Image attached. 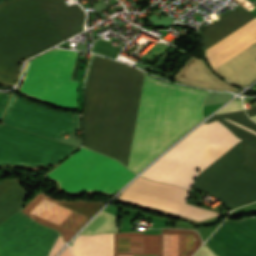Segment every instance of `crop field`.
<instances>
[{
  "mask_svg": "<svg viewBox=\"0 0 256 256\" xmlns=\"http://www.w3.org/2000/svg\"><path fill=\"white\" fill-rule=\"evenodd\" d=\"M187 190L156 183L139 177L119 196L140 205L165 209L199 221L218 215L211 211L185 203Z\"/></svg>",
  "mask_w": 256,
  "mask_h": 256,
  "instance_id": "obj_11",
  "label": "crop field"
},
{
  "mask_svg": "<svg viewBox=\"0 0 256 256\" xmlns=\"http://www.w3.org/2000/svg\"><path fill=\"white\" fill-rule=\"evenodd\" d=\"M0 122L59 139L76 127V115L56 112L13 95Z\"/></svg>",
  "mask_w": 256,
  "mask_h": 256,
  "instance_id": "obj_10",
  "label": "crop field"
},
{
  "mask_svg": "<svg viewBox=\"0 0 256 256\" xmlns=\"http://www.w3.org/2000/svg\"><path fill=\"white\" fill-rule=\"evenodd\" d=\"M57 244H60V245L63 246V240H62V238H61L60 235L58 236L57 240L55 241V243H54V245H53V247H52V249H51V251H50V255H49V256H54V254L62 247V246L60 247V246L57 245ZM56 245H57L58 247H60L57 251L53 249Z\"/></svg>",
  "mask_w": 256,
  "mask_h": 256,
  "instance_id": "obj_18",
  "label": "crop field"
},
{
  "mask_svg": "<svg viewBox=\"0 0 256 256\" xmlns=\"http://www.w3.org/2000/svg\"><path fill=\"white\" fill-rule=\"evenodd\" d=\"M45 176L59 182L63 191L112 195L135 175L117 161L81 148Z\"/></svg>",
  "mask_w": 256,
  "mask_h": 256,
  "instance_id": "obj_6",
  "label": "crop field"
},
{
  "mask_svg": "<svg viewBox=\"0 0 256 256\" xmlns=\"http://www.w3.org/2000/svg\"><path fill=\"white\" fill-rule=\"evenodd\" d=\"M76 53L56 49L30 61L19 92L56 106L76 109L77 81L70 80Z\"/></svg>",
  "mask_w": 256,
  "mask_h": 256,
  "instance_id": "obj_7",
  "label": "crop field"
},
{
  "mask_svg": "<svg viewBox=\"0 0 256 256\" xmlns=\"http://www.w3.org/2000/svg\"><path fill=\"white\" fill-rule=\"evenodd\" d=\"M43 199L50 201L52 203H55L64 208H67L69 210H72L74 212H77V213L84 215L88 218L91 215H93L96 212V210L100 206H102V204L104 203V202H83V201H57L54 199H50L44 192L37 193L33 197V199L22 209V212H24L29 217L35 219L37 222H39L45 226L59 230L62 233V237L65 241H68L79 230V228L87 221L88 218L86 219V217H84V216H81L72 211H69L62 207L54 205V204L47 202ZM30 212L33 215H36L38 217H41L43 219H46V220L56 223L58 225H60L65 218L72 220L74 222H77L79 224H81L85 219L86 220L82 223V225L75 232H73V231L63 228L61 226H58L56 224H53L51 222H48L46 220H43L36 216H33V215L29 214Z\"/></svg>",
  "mask_w": 256,
  "mask_h": 256,
  "instance_id": "obj_12",
  "label": "crop field"
},
{
  "mask_svg": "<svg viewBox=\"0 0 256 256\" xmlns=\"http://www.w3.org/2000/svg\"><path fill=\"white\" fill-rule=\"evenodd\" d=\"M78 149L0 124V166L53 165Z\"/></svg>",
  "mask_w": 256,
  "mask_h": 256,
  "instance_id": "obj_9",
  "label": "crop field"
},
{
  "mask_svg": "<svg viewBox=\"0 0 256 256\" xmlns=\"http://www.w3.org/2000/svg\"><path fill=\"white\" fill-rule=\"evenodd\" d=\"M205 244L218 256H256V219L225 220Z\"/></svg>",
  "mask_w": 256,
  "mask_h": 256,
  "instance_id": "obj_13",
  "label": "crop field"
},
{
  "mask_svg": "<svg viewBox=\"0 0 256 256\" xmlns=\"http://www.w3.org/2000/svg\"><path fill=\"white\" fill-rule=\"evenodd\" d=\"M248 114L249 117L253 116L256 114V105L251 108L249 111L246 112Z\"/></svg>",
  "mask_w": 256,
  "mask_h": 256,
  "instance_id": "obj_20",
  "label": "crop field"
},
{
  "mask_svg": "<svg viewBox=\"0 0 256 256\" xmlns=\"http://www.w3.org/2000/svg\"><path fill=\"white\" fill-rule=\"evenodd\" d=\"M251 89H252V90H256V85H254Z\"/></svg>",
  "mask_w": 256,
  "mask_h": 256,
  "instance_id": "obj_24",
  "label": "crop field"
},
{
  "mask_svg": "<svg viewBox=\"0 0 256 256\" xmlns=\"http://www.w3.org/2000/svg\"><path fill=\"white\" fill-rule=\"evenodd\" d=\"M108 217L106 219V217ZM91 223L93 224L89 230L94 231L105 219V221L94 231H89L84 229L80 234H101V233H109V232H116L117 228V217H114L112 215L106 214L104 212L100 213Z\"/></svg>",
  "mask_w": 256,
  "mask_h": 256,
  "instance_id": "obj_15",
  "label": "crop field"
},
{
  "mask_svg": "<svg viewBox=\"0 0 256 256\" xmlns=\"http://www.w3.org/2000/svg\"><path fill=\"white\" fill-rule=\"evenodd\" d=\"M225 120H227V121H229V122H231V123H234V122H232V121H230V120H228V119H225ZM234 124H236V123H234ZM236 125H238V124H236ZM238 126H240V127L244 128V129H246V130H248V131H250V132H252V133L256 134V132L251 131V130H249V129H247V128H245V127L241 126V125H238Z\"/></svg>",
  "mask_w": 256,
  "mask_h": 256,
  "instance_id": "obj_22",
  "label": "crop field"
},
{
  "mask_svg": "<svg viewBox=\"0 0 256 256\" xmlns=\"http://www.w3.org/2000/svg\"><path fill=\"white\" fill-rule=\"evenodd\" d=\"M236 139L218 121L202 124L141 176L189 188ZM241 160L237 139L192 187L217 196L230 210L255 202L256 172Z\"/></svg>",
  "mask_w": 256,
  "mask_h": 256,
  "instance_id": "obj_2",
  "label": "crop field"
},
{
  "mask_svg": "<svg viewBox=\"0 0 256 256\" xmlns=\"http://www.w3.org/2000/svg\"><path fill=\"white\" fill-rule=\"evenodd\" d=\"M174 79L191 86L214 90L238 91L213 76L201 60L194 59L193 57L180 69Z\"/></svg>",
  "mask_w": 256,
  "mask_h": 256,
  "instance_id": "obj_14",
  "label": "crop field"
},
{
  "mask_svg": "<svg viewBox=\"0 0 256 256\" xmlns=\"http://www.w3.org/2000/svg\"><path fill=\"white\" fill-rule=\"evenodd\" d=\"M242 109V101H232L227 106H225L222 110H220L216 114L220 113H228V112H235V111H241Z\"/></svg>",
  "mask_w": 256,
  "mask_h": 256,
  "instance_id": "obj_16",
  "label": "crop field"
},
{
  "mask_svg": "<svg viewBox=\"0 0 256 256\" xmlns=\"http://www.w3.org/2000/svg\"><path fill=\"white\" fill-rule=\"evenodd\" d=\"M254 16L237 6L199 32L205 49L221 40ZM211 67L229 82L245 86L256 79V18L205 50Z\"/></svg>",
  "mask_w": 256,
  "mask_h": 256,
  "instance_id": "obj_4",
  "label": "crop field"
},
{
  "mask_svg": "<svg viewBox=\"0 0 256 256\" xmlns=\"http://www.w3.org/2000/svg\"><path fill=\"white\" fill-rule=\"evenodd\" d=\"M10 96H11V94H0V117L2 116V114L4 112V109L6 107V104L9 100Z\"/></svg>",
  "mask_w": 256,
  "mask_h": 256,
  "instance_id": "obj_17",
  "label": "crop field"
},
{
  "mask_svg": "<svg viewBox=\"0 0 256 256\" xmlns=\"http://www.w3.org/2000/svg\"><path fill=\"white\" fill-rule=\"evenodd\" d=\"M162 234H193V250H185V256H191L202 244L198 233L194 230L162 229ZM117 236L143 237V253H130L142 252V238L130 237L129 245H118V251L130 252H117ZM80 237H110V256H113V233L93 236H78L74 241V245L71 246V251L74 256H80ZM184 249H192V235H173V248H163V256H184ZM132 254H157V256H162V235L114 233V256ZM81 256L109 255H101V238H81Z\"/></svg>",
  "mask_w": 256,
  "mask_h": 256,
  "instance_id": "obj_8",
  "label": "crop field"
},
{
  "mask_svg": "<svg viewBox=\"0 0 256 256\" xmlns=\"http://www.w3.org/2000/svg\"><path fill=\"white\" fill-rule=\"evenodd\" d=\"M25 196L15 180L0 181V223L21 209ZM58 234L30 220L20 210L0 224V256H48Z\"/></svg>",
  "mask_w": 256,
  "mask_h": 256,
  "instance_id": "obj_5",
  "label": "crop field"
},
{
  "mask_svg": "<svg viewBox=\"0 0 256 256\" xmlns=\"http://www.w3.org/2000/svg\"><path fill=\"white\" fill-rule=\"evenodd\" d=\"M251 119H252V120H254V121L256 122V116L251 117Z\"/></svg>",
  "mask_w": 256,
  "mask_h": 256,
  "instance_id": "obj_23",
  "label": "crop field"
},
{
  "mask_svg": "<svg viewBox=\"0 0 256 256\" xmlns=\"http://www.w3.org/2000/svg\"><path fill=\"white\" fill-rule=\"evenodd\" d=\"M84 12L64 0L0 3V82L14 83L20 61L82 30Z\"/></svg>",
  "mask_w": 256,
  "mask_h": 256,
  "instance_id": "obj_3",
  "label": "crop field"
},
{
  "mask_svg": "<svg viewBox=\"0 0 256 256\" xmlns=\"http://www.w3.org/2000/svg\"><path fill=\"white\" fill-rule=\"evenodd\" d=\"M143 74L94 57L82 114L85 147L126 164ZM208 92L144 74L126 167L137 173L204 119Z\"/></svg>",
  "mask_w": 256,
  "mask_h": 256,
  "instance_id": "obj_1",
  "label": "crop field"
},
{
  "mask_svg": "<svg viewBox=\"0 0 256 256\" xmlns=\"http://www.w3.org/2000/svg\"><path fill=\"white\" fill-rule=\"evenodd\" d=\"M201 249H203L209 253L207 254V252L204 251L200 256H205L206 254H207L206 256H215V255H213L214 253L212 254L204 245L193 256H195Z\"/></svg>",
  "mask_w": 256,
  "mask_h": 256,
  "instance_id": "obj_19",
  "label": "crop field"
},
{
  "mask_svg": "<svg viewBox=\"0 0 256 256\" xmlns=\"http://www.w3.org/2000/svg\"><path fill=\"white\" fill-rule=\"evenodd\" d=\"M59 256H71L69 252V247H66L64 251Z\"/></svg>",
  "mask_w": 256,
  "mask_h": 256,
  "instance_id": "obj_21",
  "label": "crop field"
}]
</instances>
